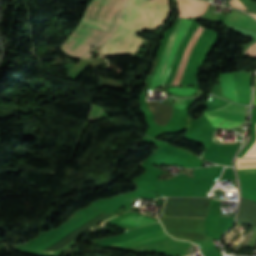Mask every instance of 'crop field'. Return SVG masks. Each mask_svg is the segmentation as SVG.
Listing matches in <instances>:
<instances>
[{
  "instance_id": "8a807250",
  "label": "crop field",
  "mask_w": 256,
  "mask_h": 256,
  "mask_svg": "<svg viewBox=\"0 0 256 256\" xmlns=\"http://www.w3.org/2000/svg\"><path fill=\"white\" fill-rule=\"evenodd\" d=\"M168 3V0H129L122 15L119 31L117 30L118 32L102 47L101 54H134L143 40L136 34L142 29L154 31L164 23L170 13Z\"/></svg>"
},
{
  "instance_id": "ac0d7876",
  "label": "crop field",
  "mask_w": 256,
  "mask_h": 256,
  "mask_svg": "<svg viewBox=\"0 0 256 256\" xmlns=\"http://www.w3.org/2000/svg\"><path fill=\"white\" fill-rule=\"evenodd\" d=\"M191 20L187 19H180L178 25L176 26L175 30L173 31L166 47L164 53L162 55L161 61L159 63L158 69L153 76V80L151 83L150 89H154L156 86H160L163 84L164 79L167 75L169 67L171 65L172 59L176 52L179 42L181 41L182 37L186 33Z\"/></svg>"
},
{
  "instance_id": "34b2d1b8",
  "label": "crop field",
  "mask_w": 256,
  "mask_h": 256,
  "mask_svg": "<svg viewBox=\"0 0 256 256\" xmlns=\"http://www.w3.org/2000/svg\"><path fill=\"white\" fill-rule=\"evenodd\" d=\"M251 76L252 73H221L223 94L236 102L249 104Z\"/></svg>"
},
{
  "instance_id": "412701ff",
  "label": "crop field",
  "mask_w": 256,
  "mask_h": 256,
  "mask_svg": "<svg viewBox=\"0 0 256 256\" xmlns=\"http://www.w3.org/2000/svg\"><path fill=\"white\" fill-rule=\"evenodd\" d=\"M215 127L233 128L242 124L246 118V106L227 103L222 108L205 112Z\"/></svg>"
},
{
  "instance_id": "f4fd0767",
  "label": "crop field",
  "mask_w": 256,
  "mask_h": 256,
  "mask_svg": "<svg viewBox=\"0 0 256 256\" xmlns=\"http://www.w3.org/2000/svg\"><path fill=\"white\" fill-rule=\"evenodd\" d=\"M167 228H202L203 219H175L161 218ZM176 237L187 238L190 240H205L203 229H167Z\"/></svg>"
},
{
  "instance_id": "dd49c442",
  "label": "crop field",
  "mask_w": 256,
  "mask_h": 256,
  "mask_svg": "<svg viewBox=\"0 0 256 256\" xmlns=\"http://www.w3.org/2000/svg\"><path fill=\"white\" fill-rule=\"evenodd\" d=\"M167 236L168 235L164 232V230L154 231V232L145 234L141 237L129 239L122 243L113 244L110 246L137 247L140 245H144V244H148V243H152L155 241L166 239Z\"/></svg>"
},
{
  "instance_id": "e52e79f7",
  "label": "crop field",
  "mask_w": 256,
  "mask_h": 256,
  "mask_svg": "<svg viewBox=\"0 0 256 256\" xmlns=\"http://www.w3.org/2000/svg\"><path fill=\"white\" fill-rule=\"evenodd\" d=\"M149 107L154 115V122L166 125L173 111V106L163 102H149Z\"/></svg>"
},
{
  "instance_id": "d8731c3e",
  "label": "crop field",
  "mask_w": 256,
  "mask_h": 256,
  "mask_svg": "<svg viewBox=\"0 0 256 256\" xmlns=\"http://www.w3.org/2000/svg\"><path fill=\"white\" fill-rule=\"evenodd\" d=\"M224 23L234 26H241L246 29L256 30V22L249 16L238 14L232 11L224 20Z\"/></svg>"
},
{
  "instance_id": "5a996713",
  "label": "crop field",
  "mask_w": 256,
  "mask_h": 256,
  "mask_svg": "<svg viewBox=\"0 0 256 256\" xmlns=\"http://www.w3.org/2000/svg\"><path fill=\"white\" fill-rule=\"evenodd\" d=\"M203 31V28H201L200 26H198L196 32L194 33V35L192 36V38L190 39L186 49H185V52H184V55H183V58H182V61L180 63V66L178 68V71L176 73V76L174 78V81L172 84H175V85H178L180 80H181V76H182V73L184 71V68L186 66V63H187V59H188V55H189V52L191 50V48L193 47V45L195 44L196 40L198 39V37L200 36L201 32ZM193 49V48H192ZM192 51V50H191ZM191 53V52H190Z\"/></svg>"
},
{
  "instance_id": "3316defc",
  "label": "crop field",
  "mask_w": 256,
  "mask_h": 256,
  "mask_svg": "<svg viewBox=\"0 0 256 256\" xmlns=\"http://www.w3.org/2000/svg\"><path fill=\"white\" fill-rule=\"evenodd\" d=\"M154 222L155 221L151 219L144 218L135 214L129 215L128 217L119 221V223L131 225L135 227L143 226V225L154 223Z\"/></svg>"
},
{
  "instance_id": "28ad6ade",
  "label": "crop field",
  "mask_w": 256,
  "mask_h": 256,
  "mask_svg": "<svg viewBox=\"0 0 256 256\" xmlns=\"http://www.w3.org/2000/svg\"><path fill=\"white\" fill-rule=\"evenodd\" d=\"M170 92L181 94V95H190L195 93L193 88H170Z\"/></svg>"
},
{
  "instance_id": "d1516ede",
  "label": "crop field",
  "mask_w": 256,
  "mask_h": 256,
  "mask_svg": "<svg viewBox=\"0 0 256 256\" xmlns=\"http://www.w3.org/2000/svg\"><path fill=\"white\" fill-rule=\"evenodd\" d=\"M241 174H245L251 178L256 179V169H248V170H239Z\"/></svg>"
},
{
  "instance_id": "22f410ed",
  "label": "crop field",
  "mask_w": 256,
  "mask_h": 256,
  "mask_svg": "<svg viewBox=\"0 0 256 256\" xmlns=\"http://www.w3.org/2000/svg\"><path fill=\"white\" fill-rule=\"evenodd\" d=\"M245 53L256 56V43L253 44Z\"/></svg>"
},
{
  "instance_id": "cbeb9de0",
  "label": "crop field",
  "mask_w": 256,
  "mask_h": 256,
  "mask_svg": "<svg viewBox=\"0 0 256 256\" xmlns=\"http://www.w3.org/2000/svg\"><path fill=\"white\" fill-rule=\"evenodd\" d=\"M253 104H256V90H255V96H254V102Z\"/></svg>"
},
{
  "instance_id": "5142ce71",
  "label": "crop field",
  "mask_w": 256,
  "mask_h": 256,
  "mask_svg": "<svg viewBox=\"0 0 256 256\" xmlns=\"http://www.w3.org/2000/svg\"><path fill=\"white\" fill-rule=\"evenodd\" d=\"M254 17H256V15L255 14H252Z\"/></svg>"
},
{
  "instance_id": "d9b57169",
  "label": "crop field",
  "mask_w": 256,
  "mask_h": 256,
  "mask_svg": "<svg viewBox=\"0 0 256 256\" xmlns=\"http://www.w3.org/2000/svg\"><path fill=\"white\" fill-rule=\"evenodd\" d=\"M165 216V215H164Z\"/></svg>"
}]
</instances>
